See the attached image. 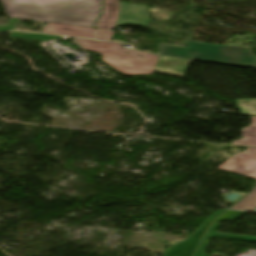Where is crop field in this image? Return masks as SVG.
Instances as JSON below:
<instances>
[{"label":"crop field","mask_w":256,"mask_h":256,"mask_svg":"<svg viewBox=\"0 0 256 256\" xmlns=\"http://www.w3.org/2000/svg\"><path fill=\"white\" fill-rule=\"evenodd\" d=\"M191 60L160 56L154 71L184 76Z\"/></svg>","instance_id":"6"},{"label":"crop field","mask_w":256,"mask_h":256,"mask_svg":"<svg viewBox=\"0 0 256 256\" xmlns=\"http://www.w3.org/2000/svg\"><path fill=\"white\" fill-rule=\"evenodd\" d=\"M118 0H104L103 12L96 28L112 30L116 25Z\"/></svg>","instance_id":"7"},{"label":"crop field","mask_w":256,"mask_h":256,"mask_svg":"<svg viewBox=\"0 0 256 256\" xmlns=\"http://www.w3.org/2000/svg\"><path fill=\"white\" fill-rule=\"evenodd\" d=\"M11 37L24 38V39H33V40H41V41H47V40H53V39L59 38V36L32 34V33L18 32V31L12 32L11 33Z\"/></svg>","instance_id":"11"},{"label":"crop field","mask_w":256,"mask_h":256,"mask_svg":"<svg viewBox=\"0 0 256 256\" xmlns=\"http://www.w3.org/2000/svg\"><path fill=\"white\" fill-rule=\"evenodd\" d=\"M235 100L241 114L256 116V99H235Z\"/></svg>","instance_id":"10"},{"label":"crop field","mask_w":256,"mask_h":256,"mask_svg":"<svg viewBox=\"0 0 256 256\" xmlns=\"http://www.w3.org/2000/svg\"><path fill=\"white\" fill-rule=\"evenodd\" d=\"M43 32L83 37V38H91V39H102V40H109L113 33V31H107V30L97 29V31H95L94 28H89V27H80V26H71V25H62V24H53V23H48L45 29L43 30Z\"/></svg>","instance_id":"5"},{"label":"crop field","mask_w":256,"mask_h":256,"mask_svg":"<svg viewBox=\"0 0 256 256\" xmlns=\"http://www.w3.org/2000/svg\"><path fill=\"white\" fill-rule=\"evenodd\" d=\"M78 43L84 48L97 51L102 54L103 60L114 69L128 75L152 74L159 56L141 53L129 49H124L121 44L101 42L94 40L78 39ZM124 51L130 53L127 55ZM137 53L145 59L137 57ZM127 64V66H124Z\"/></svg>","instance_id":"3"},{"label":"crop field","mask_w":256,"mask_h":256,"mask_svg":"<svg viewBox=\"0 0 256 256\" xmlns=\"http://www.w3.org/2000/svg\"><path fill=\"white\" fill-rule=\"evenodd\" d=\"M183 41L188 46L187 48L161 44L157 55L256 68V56L251 53L250 49L184 39Z\"/></svg>","instance_id":"2"},{"label":"crop field","mask_w":256,"mask_h":256,"mask_svg":"<svg viewBox=\"0 0 256 256\" xmlns=\"http://www.w3.org/2000/svg\"><path fill=\"white\" fill-rule=\"evenodd\" d=\"M18 19L10 18L6 26H0V31L13 30Z\"/></svg>","instance_id":"12"},{"label":"crop field","mask_w":256,"mask_h":256,"mask_svg":"<svg viewBox=\"0 0 256 256\" xmlns=\"http://www.w3.org/2000/svg\"><path fill=\"white\" fill-rule=\"evenodd\" d=\"M251 120V125L241 130L243 138L233 141L231 144L256 146V118L251 117Z\"/></svg>","instance_id":"8"},{"label":"crop field","mask_w":256,"mask_h":256,"mask_svg":"<svg viewBox=\"0 0 256 256\" xmlns=\"http://www.w3.org/2000/svg\"><path fill=\"white\" fill-rule=\"evenodd\" d=\"M254 207H256V184L253 190L247 196H245L231 208L253 210Z\"/></svg>","instance_id":"9"},{"label":"crop field","mask_w":256,"mask_h":256,"mask_svg":"<svg viewBox=\"0 0 256 256\" xmlns=\"http://www.w3.org/2000/svg\"><path fill=\"white\" fill-rule=\"evenodd\" d=\"M102 0H1L9 17L93 27Z\"/></svg>","instance_id":"1"},{"label":"crop field","mask_w":256,"mask_h":256,"mask_svg":"<svg viewBox=\"0 0 256 256\" xmlns=\"http://www.w3.org/2000/svg\"><path fill=\"white\" fill-rule=\"evenodd\" d=\"M218 169L254 177L256 179V149L247 148L244 152L233 155Z\"/></svg>","instance_id":"4"}]
</instances>
